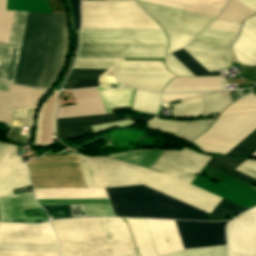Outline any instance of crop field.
Returning a JSON list of instances; mask_svg holds the SVG:
<instances>
[{"mask_svg":"<svg viewBox=\"0 0 256 256\" xmlns=\"http://www.w3.org/2000/svg\"><path fill=\"white\" fill-rule=\"evenodd\" d=\"M66 47L65 14L29 13L13 83L50 89L62 71Z\"/></svg>","mask_w":256,"mask_h":256,"instance_id":"1","label":"crop field"},{"mask_svg":"<svg viewBox=\"0 0 256 256\" xmlns=\"http://www.w3.org/2000/svg\"><path fill=\"white\" fill-rule=\"evenodd\" d=\"M255 129L256 97L250 93L228 106L213 126L192 143L202 151L225 155ZM255 152L256 130L226 155L251 156Z\"/></svg>","mask_w":256,"mask_h":256,"instance_id":"2","label":"crop field"},{"mask_svg":"<svg viewBox=\"0 0 256 256\" xmlns=\"http://www.w3.org/2000/svg\"><path fill=\"white\" fill-rule=\"evenodd\" d=\"M33 188L86 187L77 156H42L27 163ZM35 199L108 198L104 189H33Z\"/></svg>","mask_w":256,"mask_h":256,"instance_id":"3","label":"crop field"},{"mask_svg":"<svg viewBox=\"0 0 256 256\" xmlns=\"http://www.w3.org/2000/svg\"><path fill=\"white\" fill-rule=\"evenodd\" d=\"M164 31L82 30L78 57L164 58Z\"/></svg>","mask_w":256,"mask_h":256,"instance_id":"4","label":"crop field"},{"mask_svg":"<svg viewBox=\"0 0 256 256\" xmlns=\"http://www.w3.org/2000/svg\"><path fill=\"white\" fill-rule=\"evenodd\" d=\"M105 190L116 216L209 221L207 213L144 185Z\"/></svg>","mask_w":256,"mask_h":256,"instance_id":"5","label":"crop field"},{"mask_svg":"<svg viewBox=\"0 0 256 256\" xmlns=\"http://www.w3.org/2000/svg\"><path fill=\"white\" fill-rule=\"evenodd\" d=\"M73 68L90 69H166L162 61H122L121 58H77ZM174 77L167 70H107L99 82H120V87H134L160 92Z\"/></svg>","mask_w":256,"mask_h":256,"instance_id":"6","label":"crop field"},{"mask_svg":"<svg viewBox=\"0 0 256 256\" xmlns=\"http://www.w3.org/2000/svg\"><path fill=\"white\" fill-rule=\"evenodd\" d=\"M232 43V41L197 35L192 42L183 49L187 51L193 58H195L201 65H203L208 71H211L229 67L231 66L229 62L237 63L229 48ZM183 49L171 54L195 76L212 75ZM171 54H167L165 56V64L169 71L173 72L177 76H194Z\"/></svg>","mask_w":256,"mask_h":256,"instance_id":"7","label":"crop field"},{"mask_svg":"<svg viewBox=\"0 0 256 256\" xmlns=\"http://www.w3.org/2000/svg\"><path fill=\"white\" fill-rule=\"evenodd\" d=\"M81 29L163 30L135 1H82Z\"/></svg>","mask_w":256,"mask_h":256,"instance_id":"8","label":"crop field"},{"mask_svg":"<svg viewBox=\"0 0 256 256\" xmlns=\"http://www.w3.org/2000/svg\"><path fill=\"white\" fill-rule=\"evenodd\" d=\"M77 105L61 107L57 123L106 113L96 88L72 91ZM126 120L115 114H106L57 124V140L73 139L91 133L90 126Z\"/></svg>","mask_w":256,"mask_h":256,"instance_id":"9","label":"crop field"},{"mask_svg":"<svg viewBox=\"0 0 256 256\" xmlns=\"http://www.w3.org/2000/svg\"><path fill=\"white\" fill-rule=\"evenodd\" d=\"M207 166L237 178L250 185L256 183V180L212 160L209 161ZM192 184L245 208L256 205V190L229 177H227L220 186L199 177H196ZM224 199H222L220 203L213 209L211 214L224 218L234 212L240 214L241 212L245 211V209Z\"/></svg>","mask_w":256,"mask_h":256,"instance_id":"10","label":"crop field"},{"mask_svg":"<svg viewBox=\"0 0 256 256\" xmlns=\"http://www.w3.org/2000/svg\"><path fill=\"white\" fill-rule=\"evenodd\" d=\"M86 256H100L135 247L121 218L81 219Z\"/></svg>","mask_w":256,"mask_h":256,"instance_id":"11","label":"crop field"},{"mask_svg":"<svg viewBox=\"0 0 256 256\" xmlns=\"http://www.w3.org/2000/svg\"><path fill=\"white\" fill-rule=\"evenodd\" d=\"M227 222V221H226ZM222 223L176 221L185 249L225 245ZM160 256H227L226 247L182 250Z\"/></svg>","mask_w":256,"mask_h":256,"instance_id":"12","label":"crop field"},{"mask_svg":"<svg viewBox=\"0 0 256 256\" xmlns=\"http://www.w3.org/2000/svg\"><path fill=\"white\" fill-rule=\"evenodd\" d=\"M143 184L210 213L221 198L165 173L142 168Z\"/></svg>","mask_w":256,"mask_h":256,"instance_id":"13","label":"crop field"},{"mask_svg":"<svg viewBox=\"0 0 256 256\" xmlns=\"http://www.w3.org/2000/svg\"><path fill=\"white\" fill-rule=\"evenodd\" d=\"M87 158L94 187L142 184L141 168L106 157Z\"/></svg>","mask_w":256,"mask_h":256,"instance_id":"14","label":"crop field"},{"mask_svg":"<svg viewBox=\"0 0 256 256\" xmlns=\"http://www.w3.org/2000/svg\"><path fill=\"white\" fill-rule=\"evenodd\" d=\"M137 1V0H136ZM163 28L196 36L215 18L160 5L137 1Z\"/></svg>","mask_w":256,"mask_h":256,"instance_id":"15","label":"crop field"},{"mask_svg":"<svg viewBox=\"0 0 256 256\" xmlns=\"http://www.w3.org/2000/svg\"><path fill=\"white\" fill-rule=\"evenodd\" d=\"M212 157L197 154L184 147L179 151H164L152 168L191 184Z\"/></svg>","mask_w":256,"mask_h":256,"instance_id":"16","label":"crop field"},{"mask_svg":"<svg viewBox=\"0 0 256 256\" xmlns=\"http://www.w3.org/2000/svg\"><path fill=\"white\" fill-rule=\"evenodd\" d=\"M226 231L229 256H256V207L232 219Z\"/></svg>","mask_w":256,"mask_h":256,"instance_id":"17","label":"crop field"},{"mask_svg":"<svg viewBox=\"0 0 256 256\" xmlns=\"http://www.w3.org/2000/svg\"><path fill=\"white\" fill-rule=\"evenodd\" d=\"M48 92L0 83V122L11 127V109L38 105Z\"/></svg>","mask_w":256,"mask_h":256,"instance_id":"18","label":"crop field"},{"mask_svg":"<svg viewBox=\"0 0 256 256\" xmlns=\"http://www.w3.org/2000/svg\"><path fill=\"white\" fill-rule=\"evenodd\" d=\"M16 149L17 147L10 145L0 164V195L14 194L12 189L30 185L28 170Z\"/></svg>","mask_w":256,"mask_h":256,"instance_id":"19","label":"crop field"},{"mask_svg":"<svg viewBox=\"0 0 256 256\" xmlns=\"http://www.w3.org/2000/svg\"><path fill=\"white\" fill-rule=\"evenodd\" d=\"M60 91L53 93L45 100L36 116L34 143L51 144L55 140V112Z\"/></svg>","mask_w":256,"mask_h":256,"instance_id":"20","label":"crop field"},{"mask_svg":"<svg viewBox=\"0 0 256 256\" xmlns=\"http://www.w3.org/2000/svg\"><path fill=\"white\" fill-rule=\"evenodd\" d=\"M146 221L158 255L183 249L173 221Z\"/></svg>","mask_w":256,"mask_h":256,"instance_id":"21","label":"crop field"},{"mask_svg":"<svg viewBox=\"0 0 256 256\" xmlns=\"http://www.w3.org/2000/svg\"><path fill=\"white\" fill-rule=\"evenodd\" d=\"M238 62L256 66V15L247 19L231 47Z\"/></svg>","mask_w":256,"mask_h":256,"instance_id":"22","label":"crop field"},{"mask_svg":"<svg viewBox=\"0 0 256 256\" xmlns=\"http://www.w3.org/2000/svg\"><path fill=\"white\" fill-rule=\"evenodd\" d=\"M53 223L63 244L62 256H85L80 220Z\"/></svg>","mask_w":256,"mask_h":256,"instance_id":"23","label":"crop field"},{"mask_svg":"<svg viewBox=\"0 0 256 256\" xmlns=\"http://www.w3.org/2000/svg\"><path fill=\"white\" fill-rule=\"evenodd\" d=\"M0 0V42L8 43L15 12L5 11ZM28 13L16 12L9 44L20 46Z\"/></svg>","mask_w":256,"mask_h":256,"instance_id":"24","label":"crop field"},{"mask_svg":"<svg viewBox=\"0 0 256 256\" xmlns=\"http://www.w3.org/2000/svg\"><path fill=\"white\" fill-rule=\"evenodd\" d=\"M222 77L174 78L162 92L220 91L225 90Z\"/></svg>","mask_w":256,"mask_h":256,"instance_id":"25","label":"crop field"},{"mask_svg":"<svg viewBox=\"0 0 256 256\" xmlns=\"http://www.w3.org/2000/svg\"><path fill=\"white\" fill-rule=\"evenodd\" d=\"M40 207L33 199L32 192L22 195L0 196V221L9 222L23 219L22 210Z\"/></svg>","mask_w":256,"mask_h":256,"instance_id":"26","label":"crop field"},{"mask_svg":"<svg viewBox=\"0 0 256 256\" xmlns=\"http://www.w3.org/2000/svg\"><path fill=\"white\" fill-rule=\"evenodd\" d=\"M217 17L227 1L223 0H141Z\"/></svg>","mask_w":256,"mask_h":256,"instance_id":"27","label":"crop field"},{"mask_svg":"<svg viewBox=\"0 0 256 256\" xmlns=\"http://www.w3.org/2000/svg\"><path fill=\"white\" fill-rule=\"evenodd\" d=\"M107 113L119 109H130L134 89H105L97 88Z\"/></svg>","mask_w":256,"mask_h":256,"instance_id":"28","label":"crop field"},{"mask_svg":"<svg viewBox=\"0 0 256 256\" xmlns=\"http://www.w3.org/2000/svg\"><path fill=\"white\" fill-rule=\"evenodd\" d=\"M134 238L139 256L157 255L145 220L126 219Z\"/></svg>","mask_w":256,"mask_h":256,"instance_id":"29","label":"crop field"},{"mask_svg":"<svg viewBox=\"0 0 256 256\" xmlns=\"http://www.w3.org/2000/svg\"><path fill=\"white\" fill-rule=\"evenodd\" d=\"M20 47L0 43V80L12 83Z\"/></svg>","mask_w":256,"mask_h":256,"instance_id":"30","label":"crop field"},{"mask_svg":"<svg viewBox=\"0 0 256 256\" xmlns=\"http://www.w3.org/2000/svg\"><path fill=\"white\" fill-rule=\"evenodd\" d=\"M106 70L72 69L63 89L89 88L98 86L97 76Z\"/></svg>","mask_w":256,"mask_h":256,"instance_id":"31","label":"crop field"},{"mask_svg":"<svg viewBox=\"0 0 256 256\" xmlns=\"http://www.w3.org/2000/svg\"><path fill=\"white\" fill-rule=\"evenodd\" d=\"M255 14L254 10L239 0H229L216 19L242 23L245 18Z\"/></svg>","mask_w":256,"mask_h":256,"instance_id":"32","label":"crop field"},{"mask_svg":"<svg viewBox=\"0 0 256 256\" xmlns=\"http://www.w3.org/2000/svg\"><path fill=\"white\" fill-rule=\"evenodd\" d=\"M0 242L59 244L54 234L0 232Z\"/></svg>","mask_w":256,"mask_h":256,"instance_id":"33","label":"crop field"},{"mask_svg":"<svg viewBox=\"0 0 256 256\" xmlns=\"http://www.w3.org/2000/svg\"><path fill=\"white\" fill-rule=\"evenodd\" d=\"M162 152L158 150H140L111 155L110 157L151 168Z\"/></svg>","mask_w":256,"mask_h":256,"instance_id":"34","label":"crop field"},{"mask_svg":"<svg viewBox=\"0 0 256 256\" xmlns=\"http://www.w3.org/2000/svg\"><path fill=\"white\" fill-rule=\"evenodd\" d=\"M161 106L160 97L156 93L136 91L133 110L157 114Z\"/></svg>","mask_w":256,"mask_h":256,"instance_id":"35","label":"crop field"},{"mask_svg":"<svg viewBox=\"0 0 256 256\" xmlns=\"http://www.w3.org/2000/svg\"><path fill=\"white\" fill-rule=\"evenodd\" d=\"M204 112L202 115H214L220 114L221 111L229 105L231 100L225 94V92H217L210 95L203 96Z\"/></svg>","mask_w":256,"mask_h":256,"instance_id":"36","label":"crop field"},{"mask_svg":"<svg viewBox=\"0 0 256 256\" xmlns=\"http://www.w3.org/2000/svg\"><path fill=\"white\" fill-rule=\"evenodd\" d=\"M181 103L174 104L173 110L175 117L195 118L203 112L201 97L180 100Z\"/></svg>","mask_w":256,"mask_h":256,"instance_id":"37","label":"crop field"},{"mask_svg":"<svg viewBox=\"0 0 256 256\" xmlns=\"http://www.w3.org/2000/svg\"><path fill=\"white\" fill-rule=\"evenodd\" d=\"M156 118L157 117H155L154 119L146 123L147 124L146 127L152 130H156V131H160V132H164L172 135L189 122V121H183V120H166V119H156Z\"/></svg>","mask_w":256,"mask_h":256,"instance_id":"38","label":"crop field"},{"mask_svg":"<svg viewBox=\"0 0 256 256\" xmlns=\"http://www.w3.org/2000/svg\"><path fill=\"white\" fill-rule=\"evenodd\" d=\"M0 250L59 253V245L0 243Z\"/></svg>","mask_w":256,"mask_h":256,"instance_id":"39","label":"crop field"},{"mask_svg":"<svg viewBox=\"0 0 256 256\" xmlns=\"http://www.w3.org/2000/svg\"><path fill=\"white\" fill-rule=\"evenodd\" d=\"M214 119H205L189 122L185 127H183L175 135L183 137L188 140H192L204 131L213 123Z\"/></svg>","mask_w":256,"mask_h":256,"instance_id":"40","label":"crop field"},{"mask_svg":"<svg viewBox=\"0 0 256 256\" xmlns=\"http://www.w3.org/2000/svg\"><path fill=\"white\" fill-rule=\"evenodd\" d=\"M0 231L54 233L49 222L38 225L0 223Z\"/></svg>","mask_w":256,"mask_h":256,"instance_id":"41","label":"crop field"},{"mask_svg":"<svg viewBox=\"0 0 256 256\" xmlns=\"http://www.w3.org/2000/svg\"><path fill=\"white\" fill-rule=\"evenodd\" d=\"M37 106L12 111V124L16 127H33V115ZM18 113L17 115L15 113Z\"/></svg>","mask_w":256,"mask_h":256,"instance_id":"42","label":"crop field"},{"mask_svg":"<svg viewBox=\"0 0 256 256\" xmlns=\"http://www.w3.org/2000/svg\"><path fill=\"white\" fill-rule=\"evenodd\" d=\"M169 39V47L167 53L178 50L184 46H186L194 37L184 34H179L175 32L166 31Z\"/></svg>","mask_w":256,"mask_h":256,"instance_id":"43","label":"crop field"},{"mask_svg":"<svg viewBox=\"0 0 256 256\" xmlns=\"http://www.w3.org/2000/svg\"><path fill=\"white\" fill-rule=\"evenodd\" d=\"M40 205L55 204H110L108 199L37 200Z\"/></svg>","mask_w":256,"mask_h":256,"instance_id":"44","label":"crop field"},{"mask_svg":"<svg viewBox=\"0 0 256 256\" xmlns=\"http://www.w3.org/2000/svg\"><path fill=\"white\" fill-rule=\"evenodd\" d=\"M86 216H115L110 205H85Z\"/></svg>","mask_w":256,"mask_h":256,"instance_id":"45","label":"crop field"},{"mask_svg":"<svg viewBox=\"0 0 256 256\" xmlns=\"http://www.w3.org/2000/svg\"><path fill=\"white\" fill-rule=\"evenodd\" d=\"M47 213L52 212L53 218H69L71 217L69 205L42 206Z\"/></svg>","mask_w":256,"mask_h":256,"instance_id":"46","label":"crop field"},{"mask_svg":"<svg viewBox=\"0 0 256 256\" xmlns=\"http://www.w3.org/2000/svg\"><path fill=\"white\" fill-rule=\"evenodd\" d=\"M240 25L238 23H231V22H225V21H218L214 20L208 28H213L217 30L227 31L231 33H239Z\"/></svg>","mask_w":256,"mask_h":256,"instance_id":"47","label":"crop field"},{"mask_svg":"<svg viewBox=\"0 0 256 256\" xmlns=\"http://www.w3.org/2000/svg\"><path fill=\"white\" fill-rule=\"evenodd\" d=\"M200 35H205V36H211V37H216V38H221V39H227V40H232L235 41L237 35L236 34H231L227 32H222V31H217L213 29H208L206 28L203 30Z\"/></svg>","mask_w":256,"mask_h":256,"instance_id":"48","label":"crop field"},{"mask_svg":"<svg viewBox=\"0 0 256 256\" xmlns=\"http://www.w3.org/2000/svg\"><path fill=\"white\" fill-rule=\"evenodd\" d=\"M208 93H193V94H160L162 98V102H170L178 99H183V98H189V97H197L200 95H204Z\"/></svg>","mask_w":256,"mask_h":256,"instance_id":"49","label":"crop field"},{"mask_svg":"<svg viewBox=\"0 0 256 256\" xmlns=\"http://www.w3.org/2000/svg\"><path fill=\"white\" fill-rule=\"evenodd\" d=\"M236 170L256 179V164L246 160L239 167H237Z\"/></svg>","mask_w":256,"mask_h":256,"instance_id":"50","label":"crop field"},{"mask_svg":"<svg viewBox=\"0 0 256 256\" xmlns=\"http://www.w3.org/2000/svg\"><path fill=\"white\" fill-rule=\"evenodd\" d=\"M79 2L80 0H70L73 9L74 30H79L80 27Z\"/></svg>","mask_w":256,"mask_h":256,"instance_id":"51","label":"crop field"},{"mask_svg":"<svg viewBox=\"0 0 256 256\" xmlns=\"http://www.w3.org/2000/svg\"><path fill=\"white\" fill-rule=\"evenodd\" d=\"M212 160L219 162L221 164H224L228 167H231L235 169L239 164H241L245 159H228V158H222V157H216L214 156Z\"/></svg>","mask_w":256,"mask_h":256,"instance_id":"52","label":"crop field"},{"mask_svg":"<svg viewBox=\"0 0 256 256\" xmlns=\"http://www.w3.org/2000/svg\"><path fill=\"white\" fill-rule=\"evenodd\" d=\"M59 254L47 253H22V252H0V256H58Z\"/></svg>","mask_w":256,"mask_h":256,"instance_id":"53","label":"crop field"},{"mask_svg":"<svg viewBox=\"0 0 256 256\" xmlns=\"http://www.w3.org/2000/svg\"><path fill=\"white\" fill-rule=\"evenodd\" d=\"M129 124H134V122L126 120V121H121V122H115V123H109V124H104V125H99V126H93L91 128H92V131H94V130L106 129V128H111V127L129 125Z\"/></svg>","mask_w":256,"mask_h":256,"instance_id":"54","label":"crop field"},{"mask_svg":"<svg viewBox=\"0 0 256 256\" xmlns=\"http://www.w3.org/2000/svg\"><path fill=\"white\" fill-rule=\"evenodd\" d=\"M85 182L87 187H92L85 157L79 154ZM84 161V163H82Z\"/></svg>","mask_w":256,"mask_h":256,"instance_id":"55","label":"crop field"},{"mask_svg":"<svg viewBox=\"0 0 256 256\" xmlns=\"http://www.w3.org/2000/svg\"><path fill=\"white\" fill-rule=\"evenodd\" d=\"M47 2L53 14L64 13L59 0H47Z\"/></svg>","mask_w":256,"mask_h":256,"instance_id":"56","label":"crop field"},{"mask_svg":"<svg viewBox=\"0 0 256 256\" xmlns=\"http://www.w3.org/2000/svg\"><path fill=\"white\" fill-rule=\"evenodd\" d=\"M135 250H128V251H123V252H118V253H114V254H109V255H105V256H125V255H131V254H135Z\"/></svg>","mask_w":256,"mask_h":256,"instance_id":"57","label":"crop field"},{"mask_svg":"<svg viewBox=\"0 0 256 256\" xmlns=\"http://www.w3.org/2000/svg\"><path fill=\"white\" fill-rule=\"evenodd\" d=\"M138 114H139L140 119L143 122H147L156 116V115H152V114H142V113H138Z\"/></svg>","mask_w":256,"mask_h":256,"instance_id":"58","label":"crop field"},{"mask_svg":"<svg viewBox=\"0 0 256 256\" xmlns=\"http://www.w3.org/2000/svg\"><path fill=\"white\" fill-rule=\"evenodd\" d=\"M7 146L8 144L6 143H0V163L2 162Z\"/></svg>","mask_w":256,"mask_h":256,"instance_id":"59","label":"crop field"},{"mask_svg":"<svg viewBox=\"0 0 256 256\" xmlns=\"http://www.w3.org/2000/svg\"><path fill=\"white\" fill-rule=\"evenodd\" d=\"M240 1H242L243 3L247 4L248 6L256 10V0H240Z\"/></svg>","mask_w":256,"mask_h":256,"instance_id":"60","label":"crop field"},{"mask_svg":"<svg viewBox=\"0 0 256 256\" xmlns=\"http://www.w3.org/2000/svg\"><path fill=\"white\" fill-rule=\"evenodd\" d=\"M129 119L132 120V121H134V122H136V123H142V124H144V123L138 118V116L131 117V118H129ZM144 125H146V124H144Z\"/></svg>","mask_w":256,"mask_h":256,"instance_id":"61","label":"crop field"},{"mask_svg":"<svg viewBox=\"0 0 256 256\" xmlns=\"http://www.w3.org/2000/svg\"><path fill=\"white\" fill-rule=\"evenodd\" d=\"M247 160H249V161H251L253 163H256V160H251V159H247Z\"/></svg>","mask_w":256,"mask_h":256,"instance_id":"62","label":"crop field"},{"mask_svg":"<svg viewBox=\"0 0 256 256\" xmlns=\"http://www.w3.org/2000/svg\"><path fill=\"white\" fill-rule=\"evenodd\" d=\"M252 156L256 157V153H255V154H253Z\"/></svg>","mask_w":256,"mask_h":256,"instance_id":"63","label":"crop field"},{"mask_svg":"<svg viewBox=\"0 0 256 256\" xmlns=\"http://www.w3.org/2000/svg\"><path fill=\"white\" fill-rule=\"evenodd\" d=\"M131 256H138L137 254H135V255H131Z\"/></svg>","mask_w":256,"mask_h":256,"instance_id":"64","label":"crop field"}]
</instances>
